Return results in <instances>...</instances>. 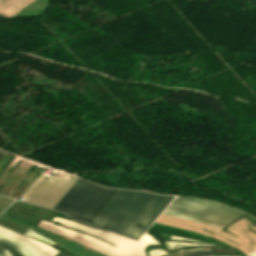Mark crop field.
Masks as SVG:
<instances>
[{
    "mask_svg": "<svg viewBox=\"0 0 256 256\" xmlns=\"http://www.w3.org/2000/svg\"><path fill=\"white\" fill-rule=\"evenodd\" d=\"M173 197L118 189L91 224L138 240Z\"/></svg>",
    "mask_w": 256,
    "mask_h": 256,
    "instance_id": "8a807250",
    "label": "crop field"
},
{
    "mask_svg": "<svg viewBox=\"0 0 256 256\" xmlns=\"http://www.w3.org/2000/svg\"><path fill=\"white\" fill-rule=\"evenodd\" d=\"M53 221L61 223L70 228H75V229L90 233L94 236H97L106 241H109L117 246L114 247L108 243L102 242L100 240L94 239L92 237L83 235L75 231L48 223L44 220H42L39 227L58 233L60 235H65L78 242L88 245L94 249L104 252L110 256H144V253L141 247L139 246L138 242L134 240L128 239L126 237L115 234L113 232H105V231L97 230V229L87 227L78 223H74L63 218L55 217Z\"/></svg>",
    "mask_w": 256,
    "mask_h": 256,
    "instance_id": "ac0d7876",
    "label": "crop field"
},
{
    "mask_svg": "<svg viewBox=\"0 0 256 256\" xmlns=\"http://www.w3.org/2000/svg\"><path fill=\"white\" fill-rule=\"evenodd\" d=\"M244 212L215 201L176 195L163 213L221 229Z\"/></svg>",
    "mask_w": 256,
    "mask_h": 256,
    "instance_id": "34b2d1b8",
    "label": "crop field"
},
{
    "mask_svg": "<svg viewBox=\"0 0 256 256\" xmlns=\"http://www.w3.org/2000/svg\"><path fill=\"white\" fill-rule=\"evenodd\" d=\"M114 190L78 178L54 209L88 223Z\"/></svg>",
    "mask_w": 256,
    "mask_h": 256,
    "instance_id": "412701ff",
    "label": "crop field"
},
{
    "mask_svg": "<svg viewBox=\"0 0 256 256\" xmlns=\"http://www.w3.org/2000/svg\"><path fill=\"white\" fill-rule=\"evenodd\" d=\"M0 232L5 233L11 237H14L21 242H23L27 247H29L32 251H34L39 256H54L58 251L54 248L41 243L39 241H36L34 239H31L29 237H24L20 234H17L13 231H10L8 229H5L0 226Z\"/></svg>",
    "mask_w": 256,
    "mask_h": 256,
    "instance_id": "f4fd0767",
    "label": "crop field"
},
{
    "mask_svg": "<svg viewBox=\"0 0 256 256\" xmlns=\"http://www.w3.org/2000/svg\"><path fill=\"white\" fill-rule=\"evenodd\" d=\"M150 228L153 230H156V231L166 232V233H170L173 235L196 238V239H200V240H204V241H208V242H213V243L229 246L227 244H222L216 240L210 239V238L200 235L198 233H194V232H190V231H186V230H182V229H178V228H173V227H169V226H165V225H161V224H157V223H154Z\"/></svg>",
    "mask_w": 256,
    "mask_h": 256,
    "instance_id": "dd49c442",
    "label": "crop field"
},
{
    "mask_svg": "<svg viewBox=\"0 0 256 256\" xmlns=\"http://www.w3.org/2000/svg\"><path fill=\"white\" fill-rule=\"evenodd\" d=\"M182 256H210L212 253L209 249L206 248H198V249H186L179 250Z\"/></svg>",
    "mask_w": 256,
    "mask_h": 256,
    "instance_id": "e52e79f7",
    "label": "crop field"
},
{
    "mask_svg": "<svg viewBox=\"0 0 256 256\" xmlns=\"http://www.w3.org/2000/svg\"><path fill=\"white\" fill-rule=\"evenodd\" d=\"M7 250L11 256H22L21 254H19L15 249H13L12 247L3 244L0 242V254H5L3 251Z\"/></svg>",
    "mask_w": 256,
    "mask_h": 256,
    "instance_id": "d8731c3e",
    "label": "crop field"
},
{
    "mask_svg": "<svg viewBox=\"0 0 256 256\" xmlns=\"http://www.w3.org/2000/svg\"><path fill=\"white\" fill-rule=\"evenodd\" d=\"M14 200L9 199L4 196H0V213L9 205L13 202Z\"/></svg>",
    "mask_w": 256,
    "mask_h": 256,
    "instance_id": "5a996713",
    "label": "crop field"
},
{
    "mask_svg": "<svg viewBox=\"0 0 256 256\" xmlns=\"http://www.w3.org/2000/svg\"><path fill=\"white\" fill-rule=\"evenodd\" d=\"M55 256H69V255H67V254H65V253H63V252H59L58 254H56Z\"/></svg>",
    "mask_w": 256,
    "mask_h": 256,
    "instance_id": "3316defc",
    "label": "crop field"
},
{
    "mask_svg": "<svg viewBox=\"0 0 256 256\" xmlns=\"http://www.w3.org/2000/svg\"><path fill=\"white\" fill-rule=\"evenodd\" d=\"M7 255H0V256H10L9 253L5 250L4 251Z\"/></svg>",
    "mask_w": 256,
    "mask_h": 256,
    "instance_id": "28ad6ade",
    "label": "crop field"
},
{
    "mask_svg": "<svg viewBox=\"0 0 256 256\" xmlns=\"http://www.w3.org/2000/svg\"><path fill=\"white\" fill-rule=\"evenodd\" d=\"M249 256H256V251L253 254L249 255Z\"/></svg>",
    "mask_w": 256,
    "mask_h": 256,
    "instance_id": "d1516ede",
    "label": "crop field"
},
{
    "mask_svg": "<svg viewBox=\"0 0 256 256\" xmlns=\"http://www.w3.org/2000/svg\"><path fill=\"white\" fill-rule=\"evenodd\" d=\"M3 153H4V151H1V150H0V157L2 156Z\"/></svg>",
    "mask_w": 256,
    "mask_h": 256,
    "instance_id": "22f410ed",
    "label": "crop field"
}]
</instances>
